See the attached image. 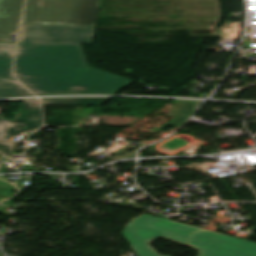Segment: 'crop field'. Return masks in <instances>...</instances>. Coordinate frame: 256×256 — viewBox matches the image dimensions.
Segmentation results:
<instances>
[{
	"instance_id": "1",
	"label": "crop field",
	"mask_w": 256,
	"mask_h": 256,
	"mask_svg": "<svg viewBox=\"0 0 256 256\" xmlns=\"http://www.w3.org/2000/svg\"><path fill=\"white\" fill-rule=\"evenodd\" d=\"M94 30L22 24L14 75L38 95L116 93L134 81L88 65L80 44H92Z\"/></svg>"
},
{
	"instance_id": "2",
	"label": "crop field",
	"mask_w": 256,
	"mask_h": 256,
	"mask_svg": "<svg viewBox=\"0 0 256 256\" xmlns=\"http://www.w3.org/2000/svg\"><path fill=\"white\" fill-rule=\"evenodd\" d=\"M123 234L137 256H158L147 244L158 237L191 245L199 256H256V243L148 214L128 223Z\"/></svg>"
},
{
	"instance_id": "3",
	"label": "crop field",
	"mask_w": 256,
	"mask_h": 256,
	"mask_svg": "<svg viewBox=\"0 0 256 256\" xmlns=\"http://www.w3.org/2000/svg\"><path fill=\"white\" fill-rule=\"evenodd\" d=\"M99 0H27L22 23L95 26Z\"/></svg>"
},
{
	"instance_id": "4",
	"label": "crop field",
	"mask_w": 256,
	"mask_h": 256,
	"mask_svg": "<svg viewBox=\"0 0 256 256\" xmlns=\"http://www.w3.org/2000/svg\"><path fill=\"white\" fill-rule=\"evenodd\" d=\"M42 126L41 105L39 101L23 102L13 121L0 119V155H9L12 152L8 138L18 135L29 129ZM3 157H0V164Z\"/></svg>"
},
{
	"instance_id": "5",
	"label": "crop field",
	"mask_w": 256,
	"mask_h": 256,
	"mask_svg": "<svg viewBox=\"0 0 256 256\" xmlns=\"http://www.w3.org/2000/svg\"><path fill=\"white\" fill-rule=\"evenodd\" d=\"M14 43H0V97L33 95L11 75Z\"/></svg>"
},
{
	"instance_id": "6",
	"label": "crop field",
	"mask_w": 256,
	"mask_h": 256,
	"mask_svg": "<svg viewBox=\"0 0 256 256\" xmlns=\"http://www.w3.org/2000/svg\"><path fill=\"white\" fill-rule=\"evenodd\" d=\"M24 0H0V40L10 41L18 30Z\"/></svg>"
},
{
	"instance_id": "7",
	"label": "crop field",
	"mask_w": 256,
	"mask_h": 256,
	"mask_svg": "<svg viewBox=\"0 0 256 256\" xmlns=\"http://www.w3.org/2000/svg\"><path fill=\"white\" fill-rule=\"evenodd\" d=\"M110 98L43 99V104L101 106Z\"/></svg>"
},
{
	"instance_id": "8",
	"label": "crop field",
	"mask_w": 256,
	"mask_h": 256,
	"mask_svg": "<svg viewBox=\"0 0 256 256\" xmlns=\"http://www.w3.org/2000/svg\"><path fill=\"white\" fill-rule=\"evenodd\" d=\"M4 157V156H3Z\"/></svg>"
}]
</instances>
